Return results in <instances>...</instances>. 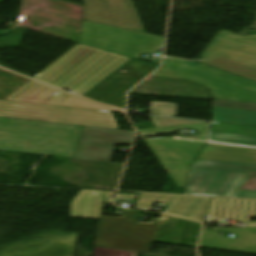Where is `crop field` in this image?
Returning <instances> with one entry per match:
<instances>
[{"mask_svg":"<svg viewBox=\"0 0 256 256\" xmlns=\"http://www.w3.org/2000/svg\"><path fill=\"white\" fill-rule=\"evenodd\" d=\"M150 119L156 128L139 130L141 137H151L157 136V134L173 133L178 131V129H192L200 134L197 137L177 136L143 139L147 146L169 143L186 155L195 159L206 144L205 138L207 135L208 123L162 117H150Z\"/></svg>","mask_w":256,"mask_h":256,"instance_id":"7","label":"crop field"},{"mask_svg":"<svg viewBox=\"0 0 256 256\" xmlns=\"http://www.w3.org/2000/svg\"><path fill=\"white\" fill-rule=\"evenodd\" d=\"M84 20L145 32L132 0H83Z\"/></svg>","mask_w":256,"mask_h":256,"instance_id":"8","label":"crop field"},{"mask_svg":"<svg viewBox=\"0 0 256 256\" xmlns=\"http://www.w3.org/2000/svg\"><path fill=\"white\" fill-rule=\"evenodd\" d=\"M30 79L0 69V100L5 99Z\"/></svg>","mask_w":256,"mask_h":256,"instance_id":"16","label":"crop field"},{"mask_svg":"<svg viewBox=\"0 0 256 256\" xmlns=\"http://www.w3.org/2000/svg\"><path fill=\"white\" fill-rule=\"evenodd\" d=\"M135 132L84 126L74 158L110 162L114 145L132 143Z\"/></svg>","mask_w":256,"mask_h":256,"instance_id":"9","label":"crop field"},{"mask_svg":"<svg viewBox=\"0 0 256 256\" xmlns=\"http://www.w3.org/2000/svg\"><path fill=\"white\" fill-rule=\"evenodd\" d=\"M214 106L256 111V104H250V103H239V102H228V101L214 100Z\"/></svg>","mask_w":256,"mask_h":256,"instance_id":"19","label":"crop field"},{"mask_svg":"<svg viewBox=\"0 0 256 256\" xmlns=\"http://www.w3.org/2000/svg\"><path fill=\"white\" fill-rule=\"evenodd\" d=\"M219 230L230 231L236 237L232 239L221 236L215 231H204L199 247L256 254V228Z\"/></svg>","mask_w":256,"mask_h":256,"instance_id":"12","label":"crop field"},{"mask_svg":"<svg viewBox=\"0 0 256 256\" xmlns=\"http://www.w3.org/2000/svg\"><path fill=\"white\" fill-rule=\"evenodd\" d=\"M172 180L182 188L186 186L188 171L193 159L169 144L149 147Z\"/></svg>","mask_w":256,"mask_h":256,"instance_id":"14","label":"crop field"},{"mask_svg":"<svg viewBox=\"0 0 256 256\" xmlns=\"http://www.w3.org/2000/svg\"><path fill=\"white\" fill-rule=\"evenodd\" d=\"M163 66L179 71L182 79L211 86L216 98L256 103V82L196 62L164 58Z\"/></svg>","mask_w":256,"mask_h":256,"instance_id":"3","label":"crop field"},{"mask_svg":"<svg viewBox=\"0 0 256 256\" xmlns=\"http://www.w3.org/2000/svg\"><path fill=\"white\" fill-rule=\"evenodd\" d=\"M256 165L195 160L185 194L256 198V191L239 190Z\"/></svg>","mask_w":256,"mask_h":256,"instance_id":"2","label":"crop field"},{"mask_svg":"<svg viewBox=\"0 0 256 256\" xmlns=\"http://www.w3.org/2000/svg\"><path fill=\"white\" fill-rule=\"evenodd\" d=\"M82 127L0 118V151L73 158Z\"/></svg>","mask_w":256,"mask_h":256,"instance_id":"1","label":"crop field"},{"mask_svg":"<svg viewBox=\"0 0 256 256\" xmlns=\"http://www.w3.org/2000/svg\"><path fill=\"white\" fill-rule=\"evenodd\" d=\"M152 76H156V77H160V78H164V79H168V80H173V81H177L179 80V76L177 74V71L174 70H170L167 68L162 67L161 69H159L155 74H153ZM201 85V84H200ZM206 88H209V86H205L202 85Z\"/></svg>","mask_w":256,"mask_h":256,"instance_id":"20","label":"crop field"},{"mask_svg":"<svg viewBox=\"0 0 256 256\" xmlns=\"http://www.w3.org/2000/svg\"><path fill=\"white\" fill-rule=\"evenodd\" d=\"M5 100L122 112L114 107L96 104L85 98L63 93L33 80Z\"/></svg>","mask_w":256,"mask_h":256,"instance_id":"10","label":"crop field"},{"mask_svg":"<svg viewBox=\"0 0 256 256\" xmlns=\"http://www.w3.org/2000/svg\"><path fill=\"white\" fill-rule=\"evenodd\" d=\"M198 62L256 81V34L220 31Z\"/></svg>","mask_w":256,"mask_h":256,"instance_id":"4","label":"crop field"},{"mask_svg":"<svg viewBox=\"0 0 256 256\" xmlns=\"http://www.w3.org/2000/svg\"><path fill=\"white\" fill-rule=\"evenodd\" d=\"M212 132L256 136V128L212 123Z\"/></svg>","mask_w":256,"mask_h":256,"instance_id":"18","label":"crop field"},{"mask_svg":"<svg viewBox=\"0 0 256 256\" xmlns=\"http://www.w3.org/2000/svg\"><path fill=\"white\" fill-rule=\"evenodd\" d=\"M214 115V122L256 126L254 111L214 107Z\"/></svg>","mask_w":256,"mask_h":256,"instance_id":"15","label":"crop field"},{"mask_svg":"<svg viewBox=\"0 0 256 256\" xmlns=\"http://www.w3.org/2000/svg\"><path fill=\"white\" fill-rule=\"evenodd\" d=\"M209 142L256 147V137L210 133Z\"/></svg>","mask_w":256,"mask_h":256,"instance_id":"17","label":"crop field"},{"mask_svg":"<svg viewBox=\"0 0 256 256\" xmlns=\"http://www.w3.org/2000/svg\"><path fill=\"white\" fill-rule=\"evenodd\" d=\"M211 199L205 197L140 193L134 208L150 209L152 207L150 205L156 202H171L163 213L204 223Z\"/></svg>","mask_w":256,"mask_h":256,"instance_id":"11","label":"crop field"},{"mask_svg":"<svg viewBox=\"0 0 256 256\" xmlns=\"http://www.w3.org/2000/svg\"><path fill=\"white\" fill-rule=\"evenodd\" d=\"M0 117L119 129L107 111L0 101Z\"/></svg>","mask_w":256,"mask_h":256,"instance_id":"6","label":"crop field"},{"mask_svg":"<svg viewBox=\"0 0 256 256\" xmlns=\"http://www.w3.org/2000/svg\"><path fill=\"white\" fill-rule=\"evenodd\" d=\"M201 224L163 215L155 241L195 247Z\"/></svg>","mask_w":256,"mask_h":256,"instance_id":"13","label":"crop field"},{"mask_svg":"<svg viewBox=\"0 0 256 256\" xmlns=\"http://www.w3.org/2000/svg\"><path fill=\"white\" fill-rule=\"evenodd\" d=\"M80 44L139 59L163 50L164 38L83 21Z\"/></svg>","mask_w":256,"mask_h":256,"instance_id":"5","label":"crop field"}]
</instances>
